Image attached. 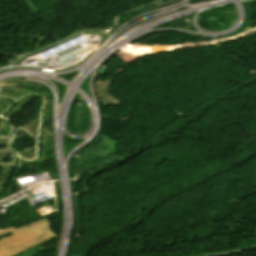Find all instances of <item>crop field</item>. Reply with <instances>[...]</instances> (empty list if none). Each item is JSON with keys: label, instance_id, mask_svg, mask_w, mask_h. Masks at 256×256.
I'll return each instance as SVG.
<instances>
[{"label": "crop field", "instance_id": "crop-field-1", "mask_svg": "<svg viewBox=\"0 0 256 256\" xmlns=\"http://www.w3.org/2000/svg\"><path fill=\"white\" fill-rule=\"evenodd\" d=\"M11 233L13 236L0 239V256H7L26 246L53 236L48 220H40L20 228L0 229V235Z\"/></svg>", "mask_w": 256, "mask_h": 256}, {"label": "crop field", "instance_id": "crop-field-2", "mask_svg": "<svg viewBox=\"0 0 256 256\" xmlns=\"http://www.w3.org/2000/svg\"><path fill=\"white\" fill-rule=\"evenodd\" d=\"M54 237H56V236H54ZM54 237H52V238H54ZM52 238H50V239H52ZM50 239H47V240H45V241H43V242H46V241H48V240H50ZM43 242H41V243H43ZM41 243H39V244H41ZM39 244H36V245L30 246V247H27V248H25V249H22V250H20V251H18V252H16V253H13V254L9 255V256H14V255L19 254V253H21V252L27 251V250H29V249H31V248H33V247L39 245Z\"/></svg>", "mask_w": 256, "mask_h": 256}]
</instances>
